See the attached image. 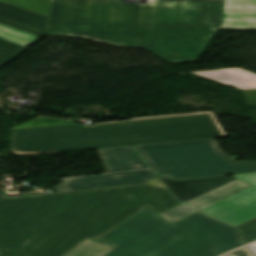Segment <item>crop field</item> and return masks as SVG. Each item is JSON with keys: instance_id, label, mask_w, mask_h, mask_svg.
I'll list each match as a JSON object with an SVG mask.
<instances>
[{"instance_id": "obj_1", "label": "crop field", "mask_w": 256, "mask_h": 256, "mask_svg": "<svg viewBox=\"0 0 256 256\" xmlns=\"http://www.w3.org/2000/svg\"><path fill=\"white\" fill-rule=\"evenodd\" d=\"M219 28L256 29V0H52L48 35L143 47L169 63L197 61Z\"/></svg>"}, {"instance_id": "obj_2", "label": "crop field", "mask_w": 256, "mask_h": 256, "mask_svg": "<svg viewBox=\"0 0 256 256\" xmlns=\"http://www.w3.org/2000/svg\"><path fill=\"white\" fill-rule=\"evenodd\" d=\"M149 181L0 200V256H62L145 205L162 212L180 203L158 179Z\"/></svg>"}, {"instance_id": "obj_3", "label": "crop field", "mask_w": 256, "mask_h": 256, "mask_svg": "<svg viewBox=\"0 0 256 256\" xmlns=\"http://www.w3.org/2000/svg\"><path fill=\"white\" fill-rule=\"evenodd\" d=\"M225 137L212 112L165 115L127 121L11 130L17 155Z\"/></svg>"}, {"instance_id": "obj_4", "label": "crop field", "mask_w": 256, "mask_h": 256, "mask_svg": "<svg viewBox=\"0 0 256 256\" xmlns=\"http://www.w3.org/2000/svg\"><path fill=\"white\" fill-rule=\"evenodd\" d=\"M96 241L116 248L106 256H217L242 245L223 223L195 213L169 224L150 208Z\"/></svg>"}, {"instance_id": "obj_5", "label": "crop field", "mask_w": 256, "mask_h": 256, "mask_svg": "<svg viewBox=\"0 0 256 256\" xmlns=\"http://www.w3.org/2000/svg\"><path fill=\"white\" fill-rule=\"evenodd\" d=\"M133 147L150 169L236 162L214 139Z\"/></svg>"}, {"instance_id": "obj_6", "label": "crop field", "mask_w": 256, "mask_h": 256, "mask_svg": "<svg viewBox=\"0 0 256 256\" xmlns=\"http://www.w3.org/2000/svg\"><path fill=\"white\" fill-rule=\"evenodd\" d=\"M233 177L253 186L199 212L236 226L256 217V173Z\"/></svg>"}, {"instance_id": "obj_7", "label": "crop field", "mask_w": 256, "mask_h": 256, "mask_svg": "<svg viewBox=\"0 0 256 256\" xmlns=\"http://www.w3.org/2000/svg\"><path fill=\"white\" fill-rule=\"evenodd\" d=\"M150 178H156L151 170L70 178L63 180L64 182L53 190L64 192L80 189L149 183L148 180Z\"/></svg>"}, {"instance_id": "obj_8", "label": "crop field", "mask_w": 256, "mask_h": 256, "mask_svg": "<svg viewBox=\"0 0 256 256\" xmlns=\"http://www.w3.org/2000/svg\"><path fill=\"white\" fill-rule=\"evenodd\" d=\"M152 171L157 178L165 177L172 180H182L239 173H253L256 172V161L245 163L157 169Z\"/></svg>"}, {"instance_id": "obj_9", "label": "crop field", "mask_w": 256, "mask_h": 256, "mask_svg": "<svg viewBox=\"0 0 256 256\" xmlns=\"http://www.w3.org/2000/svg\"><path fill=\"white\" fill-rule=\"evenodd\" d=\"M0 23L40 37L47 35V17L0 2Z\"/></svg>"}, {"instance_id": "obj_10", "label": "crop field", "mask_w": 256, "mask_h": 256, "mask_svg": "<svg viewBox=\"0 0 256 256\" xmlns=\"http://www.w3.org/2000/svg\"><path fill=\"white\" fill-rule=\"evenodd\" d=\"M97 151L107 173L148 168L132 146Z\"/></svg>"}, {"instance_id": "obj_11", "label": "crop field", "mask_w": 256, "mask_h": 256, "mask_svg": "<svg viewBox=\"0 0 256 256\" xmlns=\"http://www.w3.org/2000/svg\"><path fill=\"white\" fill-rule=\"evenodd\" d=\"M232 179L234 178L220 176L182 181H172L164 178H161L160 180L181 202H184Z\"/></svg>"}, {"instance_id": "obj_12", "label": "crop field", "mask_w": 256, "mask_h": 256, "mask_svg": "<svg viewBox=\"0 0 256 256\" xmlns=\"http://www.w3.org/2000/svg\"><path fill=\"white\" fill-rule=\"evenodd\" d=\"M193 74L205 77L207 79L229 84L239 90L256 88V74L244 71L239 68L222 69L215 71H199Z\"/></svg>"}, {"instance_id": "obj_13", "label": "crop field", "mask_w": 256, "mask_h": 256, "mask_svg": "<svg viewBox=\"0 0 256 256\" xmlns=\"http://www.w3.org/2000/svg\"><path fill=\"white\" fill-rule=\"evenodd\" d=\"M251 185L246 184L237 179L230 181L214 190H211L205 194H202L196 198L184 202L191 208L199 211L209 205H212L222 199H225Z\"/></svg>"}, {"instance_id": "obj_14", "label": "crop field", "mask_w": 256, "mask_h": 256, "mask_svg": "<svg viewBox=\"0 0 256 256\" xmlns=\"http://www.w3.org/2000/svg\"><path fill=\"white\" fill-rule=\"evenodd\" d=\"M114 248L93 241H85L65 256H105Z\"/></svg>"}, {"instance_id": "obj_15", "label": "crop field", "mask_w": 256, "mask_h": 256, "mask_svg": "<svg viewBox=\"0 0 256 256\" xmlns=\"http://www.w3.org/2000/svg\"><path fill=\"white\" fill-rule=\"evenodd\" d=\"M0 38L28 47L40 37L0 25Z\"/></svg>"}, {"instance_id": "obj_16", "label": "crop field", "mask_w": 256, "mask_h": 256, "mask_svg": "<svg viewBox=\"0 0 256 256\" xmlns=\"http://www.w3.org/2000/svg\"><path fill=\"white\" fill-rule=\"evenodd\" d=\"M25 47L0 39V67L23 52Z\"/></svg>"}, {"instance_id": "obj_17", "label": "crop field", "mask_w": 256, "mask_h": 256, "mask_svg": "<svg viewBox=\"0 0 256 256\" xmlns=\"http://www.w3.org/2000/svg\"><path fill=\"white\" fill-rule=\"evenodd\" d=\"M195 213L192 209L189 207L181 204L175 208H172L168 211H165L161 214H159L162 218H164L169 223H174L178 220H181L191 214Z\"/></svg>"}, {"instance_id": "obj_18", "label": "crop field", "mask_w": 256, "mask_h": 256, "mask_svg": "<svg viewBox=\"0 0 256 256\" xmlns=\"http://www.w3.org/2000/svg\"><path fill=\"white\" fill-rule=\"evenodd\" d=\"M237 228L242 231V238L244 243L256 240V219Z\"/></svg>"}, {"instance_id": "obj_19", "label": "crop field", "mask_w": 256, "mask_h": 256, "mask_svg": "<svg viewBox=\"0 0 256 256\" xmlns=\"http://www.w3.org/2000/svg\"><path fill=\"white\" fill-rule=\"evenodd\" d=\"M227 256H252V254L246 248H244V249L235 251Z\"/></svg>"}, {"instance_id": "obj_20", "label": "crop field", "mask_w": 256, "mask_h": 256, "mask_svg": "<svg viewBox=\"0 0 256 256\" xmlns=\"http://www.w3.org/2000/svg\"><path fill=\"white\" fill-rule=\"evenodd\" d=\"M34 119H35V118H34ZM34 119L28 121V122L25 123V124H21V125H19V126L13 127V128H11V129L31 127V125H32V123H33V121H34Z\"/></svg>"}, {"instance_id": "obj_21", "label": "crop field", "mask_w": 256, "mask_h": 256, "mask_svg": "<svg viewBox=\"0 0 256 256\" xmlns=\"http://www.w3.org/2000/svg\"><path fill=\"white\" fill-rule=\"evenodd\" d=\"M248 248L251 250V252L254 254V256H256V243L248 246Z\"/></svg>"}, {"instance_id": "obj_22", "label": "crop field", "mask_w": 256, "mask_h": 256, "mask_svg": "<svg viewBox=\"0 0 256 256\" xmlns=\"http://www.w3.org/2000/svg\"><path fill=\"white\" fill-rule=\"evenodd\" d=\"M6 198L3 192H0V199Z\"/></svg>"}]
</instances>
